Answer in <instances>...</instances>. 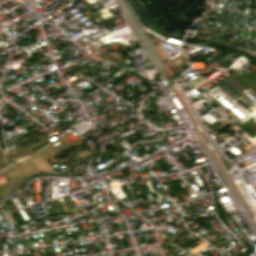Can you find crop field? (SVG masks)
I'll return each instance as SVG.
<instances>
[{
	"label": "crop field",
	"mask_w": 256,
	"mask_h": 256,
	"mask_svg": "<svg viewBox=\"0 0 256 256\" xmlns=\"http://www.w3.org/2000/svg\"><path fill=\"white\" fill-rule=\"evenodd\" d=\"M63 147H65V146H63L62 144H60V145H58V146H56V147H54V148L58 151V150L62 149Z\"/></svg>",
	"instance_id": "5142ce71"
},
{
	"label": "crop field",
	"mask_w": 256,
	"mask_h": 256,
	"mask_svg": "<svg viewBox=\"0 0 256 256\" xmlns=\"http://www.w3.org/2000/svg\"><path fill=\"white\" fill-rule=\"evenodd\" d=\"M182 231H183V230L178 229V230L176 231V233L180 234ZM174 234H175V233H174ZM174 234H173V235H174ZM173 235H172V236H173ZM172 236H171V237H172ZM176 236H178V235H177V234H175L172 238L170 237V238H171V240H172V239H174ZM170 238H169V239H170ZM168 243H170V240H167V241H166V243L163 245V247H162L161 249L163 250V249H164V247H165Z\"/></svg>",
	"instance_id": "5a996713"
},
{
	"label": "crop field",
	"mask_w": 256,
	"mask_h": 256,
	"mask_svg": "<svg viewBox=\"0 0 256 256\" xmlns=\"http://www.w3.org/2000/svg\"><path fill=\"white\" fill-rule=\"evenodd\" d=\"M37 156H38V155L33 156V158H35V157H37ZM33 158L31 157V158H29V159H27V160H24V161H22V162H19V164L22 165V164H24V163H26V162L32 160Z\"/></svg>",
	"instance_id": "22f410ed"
},
{
	"label": "crop field",
	"mask_w": 256,
	"mask_h": 256,
	"mask_svg": "<svg viewBox=\"0 0 256 256\" xmlns=\"http://www.w3.org/2000/svg\"><path fill=\"white\" fill-rule=\"evenodd\" d=\"M49 137H51V136L47 135V136H45L44 138H42L41 140H39L38 142H36V143H34V144H32V145H34V146H35V145H37V144L41 143L42 141H44V140L48 139ZM32 145L27 146V147H25V148H23V149H21V150H19V151L15 152V153L11 154V156H12V155H14V154H17V153H19V152H21V151H24V150H26V149H29V148L33 147Z\"/></svg>",
	"instance_id": "e52e79f7"
},
{
	"label": "crop field",
	"mask_w": 256,
	"mask_h": 256,
	"mask_svg": "<svg viewBox=\"0 0 256 256\" xmlns=\"http://www.w3.org/2000/svg\"><path fill=\"white\" fill-rule=\"evenodd\" d=\"M48 143H50V142L47 140V141H45V142H43V143H41V144H39V145H37V146H35V147H37V148L39 149V148L45 146V145L48 144ZM35 147L32 148V149H30V150H31L32 152L38 150V149H36ZM32 152H30L29 150H27V151H25V152H22V153H19V154L13 156L12 159L17 158V157H20V156L27 155V154H30V153H32Z\"/></svg>",
	"instance_id": "8a807250"
},
{
	"label": "crop field",
	"mask_w": 256,
	"mask_h": 256,
	"mask_svg": "<svg viewBox=\"0 0 256 256\" xmlns=\"http://www.w3.org/2000/svg\"><path fill=\"white\" fill-rule=\"evenodd\" d=\"M106 105H108V104L106 103V104H104V105H102V106H100V107H98V108L101 109V108H103V107L106 106Z\"/></svg>",
	"instance_id": "733c2abd"
},
{
	"label": "crop field",
	"mask_w": 256,
	"mask_h": 256,
	"mask_svg": "<svg viewBox=\"0 0 256 256\" xmlns=\"http://www.w3.org/2000/svg\"><path fill=\"white\" fill-rule=\"evenodd\" d=\"M27 157H28V156L23 157V158H19V159L13 160V161L16 162V161L22 160V159L27 158Z\"/></svg>",
	"instance_id": "d9b57169"
},
{
	"label": "crop field",
	"mask_w": 256,
	"mask_h": 256,
	"mask_svg": "<svg viewBox=\"0 0 256 256\" xmlns=\"http://www.w3.org/2000/svg\"><path fill=\"white\" fill-rule=\"evenodd\" d=\"M27 165H28V167L31 169L32 172L37 171V169L34 167V165H33L31 162L27 163ZM27 165H26V164L22 165V168L24 169V171L26 172V174L31 173V171H30V169L27 167Z\"/></svg>",
	"instance_id": "f4fd0767"
},
{
	"label": "crop field",
	"mask_w": 256,
	"mask_h": 256,
	"mask_svg": "<svg viewBox=\"0 0 256 256\" xmlns=\"http://www.w3.org/2000/svg\"><path fill=\"white\" fill-rule=\"evenodd\" d=\"M17 166H19L18 163L12 165L9 169L3 171L2 173L6 172V171H10V170L14 169V168L17 167Z\"/></svg>",
	"instance_id": "cbeb9de0"
},
{
	"label": "crop field",
	"mask_w": 256,
	"mask_h": 256,
	"mask_svg": "<svg viewBox=\"0 0 256 256\" xmlns=\"http://www.w3.org/2000/svg\"><path fill=\"white\" fill-rule=\"evenodd\" d=\"M9 188L13 189L10 183L8 184L7 182H5L0 184V195L10 190Z\"/></svg>",
	"instance_id": "dd49c442"
},
{
	"label": "crop field",
	"mask_w": 256,
	"mask_h": 256,
	"mask_svg": "<svg viewBox=\"0 0 256 256\" xmlns=\"http://www.w3.org/2000/svg\"><path fill=\"white\" fill-rule=\"evenodd\" d=\"M44 158L54 154V152L47 146L38 151Z\"/></svg>",
	"instance_id": "412701ff"
},
{
	"label": "crop field",
	"mask_w": 256,
	"mask_h": 256,
	"mask_svg": "<svg viewBox=\"0 0 256 256\" xmlns=\"http://www.w3.org/2000/svg\"><path fill=\"white\" fill-rule=\"evenodd\" d=\"M10 173L13 175L14 178L25 175V173L23 172V170L20 167L16 168L15 170H13ZM10 173H7L9 180L13 179V177L11 176Z\"/></svg>",
	"instance_id": "ac0d7876"
},
{
	"label": "crop field",
	"mask_w": 256,
	"mask_h": 256,
	"mask_svg": "<svg viewBox=\"0 0 256 256\" xmlns=\"http://www.w3.org/2000/svg\"><path fill=\"white\" fill-rule=\"evenodd\" d=\"M23 177L17 179V180H14V181H11V183L14 185V187L18 186L21 184V182L23 181Z\"/></svg>",
	"instance_id": "3316defc"
},
{
	"label": "crop field",
	"mask_w": 256,
	"mask_h": 256,
	"mask_svg": "<svg viewBox=\"0 0 256 256\" xmlns=\"http://www.w3.org/2000/svg\"><path fill=\"white\" fill-rule=\"evenodd\" d=\"M0 150H2V149H0ZM0 153H2V152H0ZM3 153H4V159H5V161H8L4 151H3ZM0 157H3V155L0 154ZM4 159H0V160H4ZM0 162H4V161H0ZM3 164H5V163H0V165H3Z\"/></svg>",
	"instance_id": "28ad6ade"
},
{
	"label": "crop field",
	"mask_w": 256,
	"mask_h": 256,
	"mask_svg": "<svg viewBox=\"0 0 256 256\" xmlns=\"http://www.w3.org/2000/svg\"><path fill=\"white\" fill-rule=\"evenodd\" d=\"M39 159V161L42 163V165L45 167L46 170H50L46 160L42 161L39 157H37ZM34 159V163L36 164V166L39 168V170H45L44 167L41 165V163L38 161V159Z\"/></svg>",
	"instance_id": "34b2d1b8"
},
{
	"label": "crop field",
	"mask_w": 256,
	"mask_h": 256,
	"mask_svg": "<svg viewBox=\"0 0 256 256\" xmlns=\"http://www.w3.org/2000/svg\"><path fill=\"white\" fill-rule=\"evenodd\" d=\"M5 206H2L1 208L4 209V208H7L8 211H11V210H15V207L13 206L12 202L9 200L5 201Z\"/></svg>",
	"instance_id": "d8731c3e"
},
{
	"label": "crop field",
	"mask_w": 256,
	"mask_h": 256,
	"mask_svg": "<svg viewBox=\"0 0 256 256\" xmlns=\"http://www.w3.org/2000/svg\"><path fill=\"white\" fill-rule=\"evenodd\" d=\"M83 152H84L85 155L91 154L90 151H83ZM77 154H78L79 157H80V156H83V153H82V152H79V153H77Z\"/></svg>",
	"instance_id": "d1516ede"
},
{
	"label": "crop field",
	"mask_w": 256,
	"mask_h": 256,
	"mask_svg": "<svg viewBox=\"0 0 256 256\" xmlns=\"http://www.w3.org/2000/svg\"><path fill=\"white\" fill-rule=\"evenodd\" d=\"M2 168H4V167H0V169H2Z\"/></svg>",
	"instance_id": "4a817a6b"
}]
</instances>
